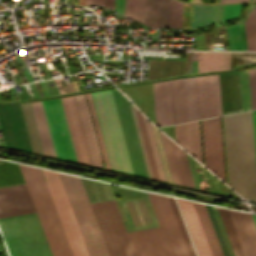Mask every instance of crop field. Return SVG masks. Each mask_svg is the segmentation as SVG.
<instances>
[{
  "label": "crop field",
  "instance_id": "1",
  "mask_svg": "<svg viewBox=\"0 0 256 256\" xmlns=\"http://www.w3.org/2000/svg\"><path fill=\"white\" fill-rule=\"evenodd\" d=\"M42 170L73 255L109 256L80 178L57 172L88 255L76 227L57 173L49 170Z\"/></svg>",
  "mask_w": 256,
  "mask_h": 256
},
{
  "label": "crop field",
  "instance_id": "2",
  "mask_svg": "<svg viewBox=\"0 0 256 256\" xmlns=\"http://www.w3.org/2000/svg\"><path fill=\"white\" fill-rule=\"evenodd\" d=\"M148 195L161 229L128 234L136 256H188L167 198Z\"/></svg>",
  "mask_w": 256,
  "mask_h": 256
},
{
  "label": "crop field",
  "instance_id": "3",
  "mask_svg": "<svg viewBox=\"0 0 256 256\" xmlns=\"http://www.w3.org/2000/svg\"><path fill=\"white\" fill-rule=\"evenodd\" d=\"M18 165L28 187L52 255L72 256L41 170L25 165ZM37 206L45 226L42 223Z\"/></svg>",
  "mask_w": 256,
  "mask_h": 256
},
{
  "label": "crop field",
  "instance_id": "4",
  "mask_svg": "<svg viewBox=\"0 0 256 256\" xmlns=\"http://www.w3.org/2000/svg\"><path fill=\"white\" fill-rule=\"evenodd\" d=\"M91 94L111 168L133 174L112 91L107 90Z\"/></svg>",
  "mask_w": 256,
  "mask_h": 256
},
{
  "label": "crop field",
  "instance_id": "5",
  "mask_svg": "<svg viewBox=\"0 0 256 256\" xmlns=\"http://www.w3.org/2000/svg\"><path fill=\"white\" fill-rule=\"evenodd\" d=\"M11 256H51L36 213L0 218Z\"/></svg>",
  "mask_w": 256,
  "mask_h": 256
},
{
  "label": "crop field",
  "instance_id": "6",
  "mask_svg": "<svg viewBox=\"0 0 256 256\" xmlns=\"http://www.w3.org/2000/svg\"><path fill=\"white\" fill-rule=\"evenodd\" d=\"M110 256H135L114 200L91 204Z\"/></svg>",
  "mask_w": 256,
  "mask_h": 256
},
{
  "label": "crop field",
  "instance_id": "7",
  "mask_svg": "<svg viewBox=\"0 0 256 256\" xmlns=\"http://www.w3.org/2000/svg\"><path fill=\"white\" fill-rule=\"evenodd\" d=\"M42 102L57 158L77 162L60 98Z\"/></svg>",
  "mask_w": 256,
  "mask_h": 256
},
{
  "label": "crop field",
  "instance_id": "8",
  "mask_svg": "<svg viewBox=\"0 0 256 256\" xmlns=\"http://www.w3.org/2000/svg\"><path fill=\"white\" fill-rule=\"evenodd\" d=\"M120 118L133 173L147 177L128 101L116 90H112ZM148 178V177H147Z\"/></svg>",
  "mask_w": 256,
  "mask_h": 256
},
{
  "label": "crop field",
  "instance_id": "9",
  "mask_svg": "<svg viewBox=\"0 0 256 256\" xmlns=\"http://www.w3.org/2000/svg\"><path fill=\"white\" fill-rule=\"evenodd\" d=\"M205 166L226 182L220 117L201 123Z\"/></svg>",
  "mask_w": 256,
  "mask_h": 256
},
{
  "label": "crop field",
  "instance_id": "10",
  "mask_svg": "<svg viewBox=\"0 0 256 256\" xmlns=\"http://www.w3.org/2000/svg\"><path fill=\"white\" fill-rule=\"evenodd\" d=\"M65 115L67 118L70 134L72 137L77 161L80 163L91 164L84 132L82 129L75 97H64L61 98Z\"/></svg>",
  "mask_w": 256,
  "mask_h": 256
},
{
  "label": "crop field",
  "instance_id": "11",
  "mask_svg": "<svg viewBox=\"0 0 256 256\" xmlns=\"http://www.w3.org/2000/svg\"><path fill=\"white\" fill-rule=\"evenodd\" d=\"M35 212L25 184L0 188V217Z\"/></svg>",
  "mask_w": 256,
  "mask_h": 256
},
{
  "label": "crop field",
  "instance_id": "12",
  "mask_svg": "<svg viewBox=\"0 0 256 256\" xmlns=\"http://www.w3.org/2000/svg\"><path fill=\"white\" fill-rule=\"evenodd\" d=\"M160 136L167 158L172 181L174 183L194 187L185 152H183L180 147H178L162 133H160Z\"/></svg>",
  "mask_w": 256,
  "mask_h": 256
},
{
  "label": "crop field",
  "instance_id": "13",
  "mask_svg": "<svg viewBox=\"0 0 256 256\" xmlns=\"http://www.w3.org/2000/svg\"><path fill=\"white\" fill-rule=\"evenodd\" d=\"M223 115L242 111L238 72L219 74Z\"/></svg>",
  "mask_w": 256,
  "mask_h": 256
},
{
  "label": "crop field",
  "instance_id": "14",
  "mask_svg": "<svg viewBox=\"0 0 256 256\" xmlns=\"http://www.w3.org/2000/svg\"><path fill=\"white\" fill-rule=\"evenodd\" d=\"M246 256H256V216L229 210Z\"/></svg>",
  "mask_w": 256,
  "mask_h": 256
},
{
  "label": "crop field",
  "instance_id": "15",
  "mask_svg": "<svg viewBox=\"0 0 256 256\" xmlns=\"http://www.w3.org/2000/svg\"><path fill=\"white\" fill-rule=\"evenodd\" d=\"M199 119L216 116L213 75L195 77Z\"/></svg>",
  "mask_w": 256,
  "mask_h": 256
},
{
  "label": "crop field",
  "instance_id": "16",
  "mask_svg": "<svg viewBox=\"0 0 256 256\" xmlns=\"http://www.w3.org/2000/svg\"><path fill=\"white\" fill-rule=\"evenodd\" d=\"M156 125L173 123L169 80L153 83Z\"/></svg>",
  "mask_w": 256,
  "mask_h": 256
},
{
  "label": "crop field",
  "instance_id": "17",
  "mask_svg": "<svg viewBox=\"0 0 256 256\" xmlns=\"http://www.w3.org/2000/svg\"><path fill=\"white\" fill-rule=\"evenodd\" d=\"M197 250L198 256H211L193 205L189 201L177 199Z\"/></svg>",
  "mask_w": 256,
  "mask_h": 256
},
{
  "label": "crop field",
  "instance_id": "18",
  "mask_svg": "<svg viewBox=\"0 0 256 256\" xmlns=\"http://www.w3.org/2000/svg\"><path fill=\"white\" fill-rule=\"evenodd\" d=\"M170 0H146L144 23L153 27H168Z\"/></svg>",
  "mask_w": 256,
  "mask_h": 256
},
{
  "label": "crop field",
  "instance_id": "19",
  "mask_svg": "<svg viewBox=\"0 0 256 256\" xmlns=\"http://www.w3.org/2000/svg\"><path fill=\"white\" fill-rule=\"evenodd\" d=\"M75 97H76L83 129L85 132L92 164L97 167H102L98 149H97V145H96V141H95V137H94V133H93V129H92V125H91V121H90V117H89V113H88L86 103H85L84 94L77 95Z\"/></svg>",
  "mask_w": 256,
  "mask_h": 256
},
{
  "label": "crop field",
  "instance_id": "20",
  "mask_svg": "<svg viewBox=\"0 0 256 256\" xmlns=\"http://www.w3.org/2000/svg\"><path fill=\"white\" fill-rule=\"evenodd\" d=\"M30 104H31L34 120L36 123L38 135L40 138L43 154L46 156L56 158L54 149H53V145H52V141H51V137H50V133L48 130L42 102L39 101V102H35V103H30Z\"/></svg>",
  "mask_w": 256,
  "mask_h": 256
},
{
  "label": "crop field",
  "instance_id": "21",
  "mask_svg": "<svg viewBox=\"0 0 256 256\" xmlns=\"http://www.w3.org/2000/svg\"><path fill=\"white\" fill-rule=\"evenodd\" d=\"M209 245L212 256H223L210 218L204 204L192 202Z\"/></svg>",
  "mask_w": 256,
  "mask_h": 256
},
{
  "label": "crop field",
  "instance_id": "22",
  "mask_svg": "<svg viewBox=\"0 0 256 256\" xmlns=\"http://www.w3.org/2000/svg\"><path fill=\"white\" fill-rule=\"evenodd\" d=\"M174 123L186 121L182 79L170 80Z\"/></svg>",
  "mask_w": 256,
  "mask_h": 256
},
{
  "label": "crop field",
  "instance_id": "23",
  "mask_svg": "<svg viewBox=\"0 0 256 256\" xmlns=\"http://www.w3.org/2000/svg\"><path fill=\"white\" fill-rule=\"evenodd\" d=\"M0 164V187L23 184L18 165L13 162L2 161Z\"/></svg>",
  "mask_w": 256,
  "mask_h": 256
},
{
  "label": "crop field",
  "instance_id": "24",
  "mask_svg": "<svg viewBox=\"0 0 256 256\" xmlns=\"http://www.w3.org/2000/svg\"><path fill=\"white\" fill-rule=\"evenodd\" d=\"M32 151L42 154L39 138L29 103L20 104ZM43 155V154H42Z\"/></svg>",
  "mask_w": 256,
  "mask_h": 256
},
{
  "label": "crop field",
  "instance_id": "25",
  "mask_svg": "<svg viewBox=\"0 0 256 256\" xmlns=\"http://www.w3.org/2000/svg\"><path fill=\"white\" fill-rule=\"evenodd\" d=\"M187 121L198 119L194 77L183 79Z\"/></svg>",
  "mask_w": 256,
  "mask_h": 256
},
{
  "label": "crop field",
  "instance_id": "26",
  "mask_svg": "<svg viewBox=\"0 0 256 256\" xmlns=\"http://www.w3.org/2000/svg\"><path fill=\"white\" fill-rule=\"evenodd\" d=\"M218 211L220 213L221 219L223 221L224 227L226 229V232L229 237L235 256H245V253L243 251L242 245L240 243L239 237L237 235V232L234 227L229 211L222 208H218Z\"/></svg>",
  "mask_w": 256,
  "mask_h": 256
},
{
  "label": "crop field",
  "instance_id": "27",
  "mask_svg": "<svg viewBox=\"0 0 256 256\" xmlns=\"http://www.w3.org/2000/svg\"><path fill=\"white\" fill-rule=\"evenodd\" d=\"M197 73L220 70L221 53L197 52Z\"/></svg>",
  "mask_w": 256,
  "mask_h": 256
},
{
  "label": "crop field",
  "instance_id": "28",
  "mask_svg": "<svg viewBox=\"0 0 256 256\" xmlns=\"http://www.w3.org/2000/svg\"><path fill=\"white\" fill-rule=\"evenodd\" d=\"M189 153L202 162L198 121L187 123Z\"/></svg>",
  "mask_w": 256,
  "mask_h": 256
},
{
  "label": "crop field",
  "instance_id": "29",
  "mask_svg": "<svg viewBox=\"0 0 256 256\" xmlns=\"http://www.w3.org/2000/svg\"><path fill=\"white\" fill-rule=\"evenodd\" d=\"M248 50H256V6L244 22Z\"/></svg>",
  "mask_w": 256,
  "mask_h": 256
},
{
  "label": "crop field",
  "instance_id": "30",
  "mask_svg": "<svg viewBox=\"0 0 256 256\" xmlns=\"http://www.w3.org/2000/svg\"><path fill=\"white\" fill-rule=\"evenodd\" d=\"M85 95H86V98H87V101H88V104H89V107H90V110H91L95 130H96V134H97V139H98V143H99V147H100V151H101V155H102V159H103V163H104V167L108 168V169H111L110 164H109V160H108V157H107L106 149H105V146H104L103 138H102V135H101L100 127H99V124H98L97 116H96V113H95L94 105H93V102H92L91 94L87 93Z\"/></svg>",
  "mask_w": 256,
  "mask_h": 256
},
{
  "label": "crop field",
  "instance_id": "31",
  "mask_svg": "<svg viewBox=\"0 0 256 256\" xmlns=\"http://www.w3.org/2000/svg\"><path fill=\"white\" fill-rule=\"evenodd\" d=\"M212 6L194 5L192 27L211 23Z\"/></svg>",
  "mask_w": 256,
  "mask_h": 256
},
{
  "label": "crop field",
  "instance_id": "32",
  "mask_svg": "<svg viewBox=\"0 0 256 256\" xmlns=\"http://www.w3.org/2000/svg\"><path fill=\"white\" fill-rule=\"evenodd\" d=\"M145 0H126L125 15L143 23Z\"/></svg>",
  "mask_w": 256,
  "mask_h": 256
},
{
  "label": "crop field",
  "instance_id": "33",
  "mask_svg": "<svg viewBox=\"0 0 256 256\" xmlns=\"http://www.w3.org/2000/svg\"><path fill=\"white\" fill-rule=\"evenodd\" d=\"M135 113H136V116H137L138 124H139L140 131H141V134H142V138H143V142H144L145 149H146V152H147L150 167H151V170H152L153 178L159 180L158 175H157V171H156V167H155V163H154V159H153V156H152L149 140H148V137H147L143 117L136 109H135Z\"/></svg>",
  "mask_w": 256,
  "mask_h": 256
},
{
  "label": "crop field",
  "instance_id": "34",
  "mask_svg": "<svg viewBox=\"0 0 256 256\" xmlns=\"http://www.w3.org/2000/svg\"><path fill=\"white\" fill-rule=\"evenodd\" d=\"M187 248L189 256H195L173 198L167 197Z\"/></svg>",
  "mask_w": 256,
  "mask_h": 256
},
{
  "label": "crop field",
  "instance_id": "35",
  "mask_svg": "<svg viewBox=\"0 0 256 256\" xmlns=\"http://www.w3.org/2000/svg\"><path fill=\"white\" fill-rule=\"evenodd\" d=\"M144 121H145L146 129H147L148 137H149V140H150L153 156H154V159H155L159 179L163 180V181H166L165 176H164V172H163V169H162V165H161V162H160L159 154H158V151H157L156 143H155V140H154V136H153V133H152L151 125L145 118H144Z\"/></svg>",
  "mask_w": 256,
  "mask_h": 256
},
{
  "label": "crop field",
  "instance_id": "36",
  "mask_svg": "<svg viewBox=\"0 0 256 256\" xmlns=\"http://www.w3.org/2000/svg\"><path fill=\"white\" fill-rule=\"evenodd\" d=\"M183 3L171 0L169 27H181Z\"/></svg>",
  "mask_w": 256,
  "mask_h": 256
},
{
  "label": "crop field",
  "instance_id": "37",
  "mask_svg": "<svg viewBox=\"0 0 256 256\" xmlns=\"http://www.w3.org/2000/svg\"><path fill=\"white\" fill-rule=\"evenodd\" d=\"M176 141L188 151L186 123L174 125Z\"/></svg>",
  "mask_w": 256,
  "mask_h": 256
},
{
  "label": "crop field",
  "instance_id": "38",
  "mask_svg": "<svg viewBox=\"0 0 256 256\" xmlns=\"http://www.w3.org/2000/svg\"><path fill=\"white\" fill-rule=\"evenodd\" d=\"M130 107H131V111H132L135 127H136V130H137V134H138L141 150H142V153H143V157H144V161H145L148 177L153 179L151 171H150L149 163H148V160H147V156H146V153H145L144 145H143V142H142V138H141V135H140L139 127H138V124H137V120H136V117H135L134 109H133L131 104H130Z\"/></svg>",
  "mask_w": 256,
  "mask_h": 256
},
{
  "label": "crop field",
  "instance_id": "39",
  "mask_svg": "<svg viewBox=\"0 0 256 256\" xmlns=\"http://www.w3.org/2000/svg\"><path fill=\"white\" fill-rule=\"evenodd\" d=\"M252 109L256 108V69L249 70Z\"/></svg>",
  "mask_w": 256,
  "mask_h": 256
},
{
  "label": "crop field",
  "instance_id": "40",
  "mask_svg": "<svg viewBox=\"0 0 256 256\" xmlns=\"http://www.w3.org/2000/svg\"><path fill=\"white\" fill-rule=\"evenodd\" d=\"M193 5L184 3L182 27L191 28Z\"/></svg>",
  "mask_w": 256,
  "mask_h": 256
},
{
  "label": "crop field",
  "instance_id": "41",
  "mask_svg": "<svg viewBox=\"0 0 256 256\" xmlns=\"http://www.w3.org/2000/svg\"><path fill=\"white\" fill-rule=\"evenodd\" d=\"M243 5L244 4L225 5L223 20L237 16Z\"/></svg>",
  "mask_w": 256,
  "mask_h": 256
},
{
  "label": "crop field",
  "instance_id": "42",
  "mask_svg": "<svg viewBox=\"0 0 256 256\" xmlns=\"http://www.w3.org/2000/svg\"><path fill=\"white\" fill-rule=\"evenodd\" d=\"M219 80V79H218ZM217 75H214L217 116L221 115Z\"/></svg>",
  "mask_w": 256,
  "mask_h": 256
},
{
  "label": "crop field",
  "instance_id": "43",
  "mask_svg": "<svg viewBox=\"0 0 256 256\" xmlns=\"http://www.w3.org/2000/svg\"><path fill=\"white\" fill-rule=\"evenodd\" d=\"M230 53L222 52L221 70L229 69Z\"/></svg>",
  "mask_w": 256,
  "mask_h": 256
},
{
  "label": "crop field",
  "instance_id": "44",
  "mask_svg": "<svg viewBox=\"0 0 256 256\" xmlns=\"http://www.w3.org/2000/svg\"><path fill=\"white\" fill-rule=\"evenodd\" d=\"M193 52H188L186 74L192 73Z\"/></svg>",
  "mask_w": 256,
  "mask_h": 256
},
{
  "label": "crop field",
  "instance_id": "45",
  "mask_svg": "<svg viewBox=\"0 0 256 256\" xmlns=\"http://www.w3.org/2000/svg\"><path fill=\"white\" fill-rule=\"evenodd\" d=\"M252 116H253L254 140H255V151H256V110L252 111Z\"/></svg>",
  "mask_w": 256,
  "mask_h": 256
},
{
  "label": "crop field",
  "instance_id": "46",
  "mask_svg": "<svg viewBox=\"0 0 256 256\" xmlns=\"http://www.w3.org/2000/svg\"><path fill=\"white\" fill-rule=\"evenodd\" d=\"M103 0H86V5H102Z\"/></svg>",
  "mask_w": 256,
  "mask_h": 256
},
{
  "label": "crop field",
  "instance_id": "47",
  "mask_svg": "<svg viewBox=\"0 0 256 256\" xmlns=\"http://www.w3.org/2000/svg\"><path fill=\"white\" fill-rule=\"evenodd\" d=\"M122 204H123V207H124V209H125V212H126V215H127L128 221H129V223H130V226L132 227L133 225H132V222H131V220H130L129 214H128V212H127L126 206H125V204H124V203H122Z\"/></svg>",
  "mask_w": 256,
  "mask_h": 256
},
{
  "label": "crop field",
  "instance_id": "48",
  "mask_svg": "<svg viewBox=\"0 0 256 256\" xmlns=\"http://www.w3.org/2000/svg\"><path fill=\"white\" fill-rule=\"evenodd\" d=\"M137 202H138V205H139V207H140L141 213H142V215H143L144 221H145L146 224H148L147 221H146V218H145V216H144V213H143V211H142V208H141V206H140V203H139L138 200H137Z\"/></svg>",
  "mask_w": 256,
  "mask_h": 256
},
{
  "label": "crop field",
  "instance_id": "49",
  "mask_svg": "<svg viewBox=\"0 0 256 256\" xmlns=\"http://www.w3.org/2000/svg\"><path fill=\"white\" fill-rule=\"evenodd\" d=\"M126 204H127L128 209H129L130 215H131V217H132L133 223H134L135 226H137L136 223H135V220H134V218H133V215H132V213H131V210H130V208H129V205H128L127 202H126Z\"/></svg>",
  "mask_w": 256,
  "mask_h": 256
},
{
  "label": "crop field",
  "instance_id": "50",
  "mask_svg": "<svg viewBox=\"0 0 256 256\" xmlns=\"http://www.w3.org/2000/svg\"><path fill=\"white\" fill-rule=\"evenodd\" d=\"M129 203H130V205H131V208H132V210H133V213H134V215H135V218H136V220H137V223H138V225L140 226L139 221H138L137 216H136V213H135V211H134L133 205H132L131 202H129Z\"/></svg>",
  "mask_w": 256,
  "mask_h": 256
},
{
  "label": "crop field",
  "instance_id": "51",
  "mask_svg": "<svg viewBox=\"0 0 256 256\" xmlns=\"http://www.w3.org/2000/svg\"><path fill=\"white\" fill-rule=\"evenodd\" d=\"M134 202V204H135V207H136V209H137V212H138V214H139V217H140V219H141V216H140V213H139V210H138V207H137V205H136V202L135 201H133ZM141 222H142V224H143V221H142V219H141ZM144 225V224H143Z\"/></svg>",
  "mask_w": 256,
  "mask_h": 256
},
{
  "label": "crop field",
  "instance_id": "52",
  "mask_svg": "<svg viewBox=\"0 0 256 256\" xmlns=\"http://www.w3.org/2000/svg\"><path fill=\"white\" fill-rule=\"evenodd\" d=\"M229 1H243V0H220V3L221 2H229Z\"/></svg>",
  "mask_w": 256,
  "mask_h": 256
},
{
  "label": "crop field",
  "instance_id": "53",
  "mask_svg": "<svg viewBox=\"0 0 256 256\" xmlns=\"http://www.w3.org/2000/svg\"><path fill=\"white\" fill-rule=\"evenodd\" d=\"M81 5H85V0H81Z\"/></svg>",
  "mask_w": 256,
  "mask_h": 256
}]
</instances>
